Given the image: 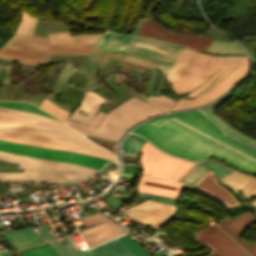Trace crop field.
Masks as SVG:
<instances>
[{"instance_id":"obj_1","label":"crop field","mask_w":256,"mask_h":256,"mask_svg":"<svg viewBox=\"0 0 256 256\" xmlns=\"http://www.w3.org/2000/svg\"><path fill=\"white\" fill-rule=\"evenodd\" d=\"M132 132L176 156L198 160L214 155L256 174V153L222 135L220 128L199 110L146 122Z\"/></svg>"},{"instance_id":"obj_2","label":"crop field","mask_w":256,"mask_h":256,"mask_svg":"<svg viewBox=\"0 0 256 256\" xmlns=\"http://www.w3.org/2000/svg\"><path fill=\"white\" fill-rule=\"evenodd\" d=\"M140 150L144 171H142L143 176L137 186L139 192L177 200L178 194L184 186L192 188L180 181L196 163L171 157L147 141ZM211 173L210 171L194 188L215 198L229 209L239 206L229 192L215 182Z\"/></svg>"},{"instance_id":"obj_3","label":"crop field","mask_w":256,"mask_h":256,"mask_svg":"<svg viewBox=\"0 0 256 256\" xmlns=\"http://www.w3.org/2000/svg\"><path fill=\"white\" fill-rule=\"evenodd\" d=\"M225 63L226 65L221 68ZM238 63L239 65L232 73H230L212 90H210L204 97H202L212 86H214L221 78L229 73ZM231 64L233 65L230 66ZM227 67L229 68L225 72H223ZM247 67L248 63L246 57H222L199 62L186 63L181 74L178 76L175 82L171 84L173 91L177 94H186L194 90L195 88L202 85L208 78H210L221 68L207 83L205 82L206 84L195 89L188 95L190 97H194L198 95L201 91H203L215 77H217L222 72L223 73L219 77H217L214 82L201 95L191 100H177V104L171 110L196 107L217 98L244 75Z\"/></svg>"},{"instance_id":"obj_4","label":"crop field","mask_w":256,"mask_h":256,"mask_svg":"<svg viewBox=\"0 0 256 256\" xmlns=\"http://www.w3.org/2000/svg\"><path fill=\"white\" fill-rule=\"evenodd\" d=\"M105 102V99L88 91L83 98L82 105L74 110L71 118L89 124L92 117L95 115L97 108ZM78 111H82L88 116H84ZM159 113L162 112L146 103L131 98L110 112L101 123L99 129L72 120H69L67 124L84 134L118 140L119 136L131 125ZM104 115L105 114L99 112L90 125L97 127Z\"/></svg>"},{"instance_id":"obj_5","label":"crop field","mask_w":256,"mask_h":256,"mask_svg":"<svg viewBox=\"0 0 256 256\" xmlns=\"http://www.w3.org/2000/svg\"><path fill=\"white\" fill-rule=\"evenodd\" d=\"M0 160L19 163L24 172L0 173L2 181L38 180L75 182L90 178L97 170L70 163L49 161L0 151Z\"/></svg>"},{"instance_id":"obj_6","label":"crop field","mask_w":256,"mask_h":256,"mask_svg":"<svg viewBox=\"0 0 256 256\" xmlns=\"http://www.w3.org/2000/svg\"><path fill=\"white\" fill-rule=\"evenodd\" d=\"M0 150L18 153L22 155L45 158L49 160L71 162L74 164L85 165L97 170H100L107 161L104 159H99V158L76 154V153L63 152V151L29 146V145L9 143L1 140H0Z\"/></svg>"},{"instance_id":"obj_7","label":"crop field","mask_w":256,"mask_h":256,"mask_svg":"<svg viewBox=\"0 0 256 256\" xmlns=\"http://www.w3.org/2000/svg\"><path fill=\"white\" fill-rule=\"evenodd\" d=\"M114 63H119L121 65L142 71L151 67H157L161 69L162 74L165 78L174 66L161 65L126 54L99 52L88 55L82 69L86 71L87 75L96 77L98 69L100 67Z\"/></svg>"},{"instance_id":"obj_8","label":"crop field","mask_w":256,"mask_h":256,"mask_svg":"<svg viewBox=\"0 0 256 256\" xmlns=\"http://www.w3.org/2000/svg\"><path fill=\"white\" fill-rule=\"evenodd\" d=\"M184 48L147 38L135 37L127 54L151 59L163 64L176 63Z\"/></svg>"},{"instance_id":"obj_9","label":"crop field","mask_w":256,"mask_h":256,"mask_svg":"<svg viewBox=\"0 0 256 256\" xmlns=\"http://www.w3.org/2000/svg\"><path fill=\"white\" fill-rule=\"evenodd\" d=\"M0 133L23 137L27 139L36 140V141L77 146V147H82V148H86V149H90L98 152L107 153L102 149L98 148L97 146L91 144L86 139L62 135V134H56L51 132H45L40 130H34V129L24 128L20 126L0 128Z\"/></svg>"},{"instance_id":"obj_10","label":"crop field","mask_w":256,"mask_h":256,"mask_svg":"<svg viewBox=\"0 0 256 256\" xmlns=\"http://www.w3.org/2000/svg\"><path fill=\"white\" fill-rule=\"evenodd\" d=\"M128 210L131 212H123L131 218L158 229L174 216L175 207L157 201L146 200Z\"/></svg>"},{"instance_id":"obj_11","label":"crop field","mask_w":256,"mask_h":256,"mask_svg":"<svg viewBox=\"0 0 256 256\" xmlns=\"http://www.w3.org/2000/svg\"><path fill=\"white\" fill-rule=\"evenodd\" d=\"M138 35L160 38L174 44H179L182 46L199 49L203 51L206 50L207 47L214 40V38L202 36L176 35L165 31L160 26H158L157 24L148 19H145Z\"/></svg>"},{"instance_id":"obj_12","label":"crop field","mask_w":256,"mask_h":256,"mask_svg":"<svg viewBox=\"0 0 256 256\" xmlns=\"http://www.w3.org/2000/svg\"><path fill=\"white\" fill-rule=\"evenodd\" d=\"M195 238L213 248L206 256H248L215 223L205 227Z\"/></svg>"},{"instance_id":"obj_13","label":"crop field","mask_w":256,"mask_h":256,"mask_svg":"<svg viewBox=\"0 0 256 256\" xmlns=\"http://www.w3.org/2000/svg\"><path fill=\"white\" fill-rule=\"evenodd\" d=\"M85 226L107 221L105 223L93 226L91 228L79 231L88 247L94 246L107 239L125 233L123 227L109 221L102 214L88 216L82 218Z\"/></svg>"},{"instance_id":"obj_14","label":"crop field","mask_w":256,"mask_h":256,"mask_svg":"<svg viewBox=\"0 0 256 256\" xmlns=\"http://www.w3.org/2000/svg\"><path fill=\"white\" fill-rule=\"evenodd\" d=\"M46 38L14 34L0 51L32 58L49 59L46 55Z\"/></svg>"},{"instance_id":"obj_15","label":"crop field","mask_w":256,"mask_h":256,"mask_svg":"<svg viewBox=\"0 0 256 256\" xmlns=\"http://www.w3.org/2000/svg\"><path fill=\"white\" fill-rule=\"evenodd\" d=\"M69 245L60 246L58 241L51 242L59 256H133V254L117 239L100 244L90 250H82L72 253L75 248L68 235L64 236Z\"/></svg>"},{"instance_id":"obj_16","label":"crop field","mask_w":256,"mask_h":256,"mask_svg":"<svg viewBox=\"0 0 256 256\" xmlns=\"http://www.w3.org/2000/svg\"><path fill=\"white\" fill-rule=\"evenodd\" d=\"M256 222V218L249 211L237 216L230 221L228 218H224L219 224L222 228L235 242H237L242 248H244L250 255L256 256V241L254 245H250L244 240L238 238L242 231Z\"/></svg>"},{"instance_id":"obj_17","label":"crop field","mask_w":256,"mask_h":256,"mask_svg":"<svg viewBox=\"0 0 256 256\" xmlns=\"http://www.w3.org/2000/svg\"><path fill=\"white\" fill-rule=\"evenodd\" d=\"M0 114H1L0 121L11 123V124H20V123H27V122L34 121V120H40L35 117L20 115V114L5 112V111H0ZM37 122L50 124V125H54V126L43 125V124H39V123H35V122H32L30 124H25L22 126H28V127L46 130V131L83 137L81 134L77 133L76 131H74L71 128H69L65 125H62V124L53 123V122H49V121H37ZM83 138H85V137H83Z\"/></svg>"},{"instance_id":"obj_18","label":"crop field","mask_w":256,"mask_h":256,"mask_svg":"<svg viewBox=\"0 0 256 256\" xmlns=\"http://www.w3.org/2000/svg\"><path fill=\"white\" fill-rule=\"evenodd\" d=\"M101 34H86L72 36L75 43L50 44V55L57 54H81L88 53L91 50Z\"/></svg>"},{"instance_id":"obj_19","label":"crop field","mask_w":256,"mask_h":256,"mask_svg":"<svg viewBox=\"0 0 256 256\" xmlns=\"http://www.w3.org/2000/svg\"><path fill=\"white\" fill-rule=\"evenodd\" d=\"M231 95H226L219 101L215 102L214 104L210 105L209 107L201 110L203 113H205L213 122H215L217 125H219L222 128V132L231 137L232 139L242 143L243 145L249 147L250 149L256 151V141L243 135L242 133L234 130L232 127L221 121L219 118H217L215 115H213L211 112L215 110L218 106H220L222 103L230 99Z\"/></svg>"},{"instance_id":"obj_20","label":"crop field","mask_w":256,"mask_h":256,"mask_svg":"<svg viewBox=\"0 0 256 256\" xmlns=\"http://www.w3.org/2000/svg\"><path fill=\"white\" fill-rule=\"evenodd\" d=\"M2 235L15 250L43 242L32 227L22 230L7 231L2 233Z\"/></svg>"},{"instance_id":"obj_21","label":"crop field","mask_w":256,"mask_h":256,"mask_svg":"<svg viewBox=\"0 0 256 256\" xmlns=\"http://www.w3.org/2000/svg\"><path fill=\"white\" fill-rule=\"evenodd\" d=\"M114 71V68H113V65H110V66H105L103 68H101L100 70V77H104V76H108L109 74H104V73H108V72H112ZM101 74H104V75H101ZM113 77H114V74H113ZM113 77L112 75L109 76L110 78V82H111V87H112V90L113 91H116L119 90L121 91L124 99H129L132 96V94L130 93V91L128 90V88L126 87L125 84H122L120 86H116V83H115V86H116V90H115V86H114V82H115V77H114V82H113ZM109 78L106 77L105 78V81H106V85L110 88V82H109ZM111 89V88H110ZM122 95L120 94V92H116V94L114 93L113 96L111 97V99L109 101H111L113 104H115L116 106L119 105L120 103H122L123 101H125L122 97ZM107 102L106 104H104L99 110L102 111L103 113H107L109 110H111L113 107H115L112 103L110 102Z\"/></svg>"},{"instance_id":"obj_22","label":"crop field","mask_w":256,"mask_h":256,"mask_svg":"<svg viewBox=\"0 0 256 256\" xmlns=\"http://www.w3.org/2000/svg\"><path fill=\"white\" fill-rule=\"evenodd\" d=\"M133 39V36H122L106 30L94 48L125 52Z\"/></svg>"},{"instance_id":"obj_23","label":"crop field","mask_w":256,"mask_h":256,"mask_svg":"<svg viewBox=\"0 0 256 256\" xmlns=\"http://www.w3.org/2000/svg\"><path fill=\"white\" fill-rule=\"evenodd\" d=\"M222 180L230 184L236 191V193L239 192L243 188V186L250 180V182L243 188L241 193L247 198L256 195V179L251 176L242 175L234 171L228 176L222 178ZM249 203L256 207V200L252 203Z\"/></svg>"},{"instance_id":"obj_24","label":"crop field","mask_w":256,"mask_h":256,"mask_svg":"<svg viewBox=\"0 0 256 256\" xmlns=\"http://www.w3.org/2000/svg\"><path fill=\"white\" fill-rule=\"evenodd\" d=\"M0 139L5 140V141H10V142H16V143H23V144H29V145H36V146H42V147H48V148H53V149H58V150H63V151H70V152H77L81 154H86V155H91V156H96V157H101V158H106L109 160H115L114 156L94 152V151H89V150H84L80 148H74V147H68V146H62V145H56V144H48V143H41V142H36L32 140H27L23 138H17V137H11L7 135L0 134ZM77 149V150H72Z\"/></svg>"},{"instance_id":"obj_25","label":"crop field","mask_w":256,"mask_h":256,"mask_svg":"<svg viewBox=\"0 0 256 256\" xmlns=\"http://www.w3.org/2000/svg\"><path fill=\"white\" fill-rule=\"evenodd\" d=\"M71 65L72 64L70 62H68V64L65 66V68L61 71V73L58 77V81H57L52 93L57 92L59 86L61 85V83L64 79V77L66 76L67 72L69 71ZM74 69L75 68H72L71 72L69 73L68 77L66 78V80L64 81V83L62 84V86L60 87V89L58 90L57 93H59L61 91V89L63 88V86L66 84L67 80L69 79V77H70L71 73L74 71ZM86 78H87V76L85 75L84 72L79 71V70L76 69L69 83L82 88ZM96 80L97 79L87 78L86 83H85L83 88L87 89V88L91 87L96 82Z\"/></svg>"},{"instance_id":"obj_26","label":"crop field","mask_w":256,"mask_h":256,"mask_svg":"<svg viewBox=\"0 0 256 256\" xmlns=\"http://www.w3.org/2000/svg\"><path fill=\"white\" fill-rule=\"evenodd\" d=\"M209 52L219 53V54H245L248 53L238 44L234 42H220L214 41L213 44L208 49Z\"/></svg>"},{"instance_id":"obj_27","label":"crop field","mask_w":256,"mask_h":256,"mask_svg":"<svg viewBox=\"0 0 256 256\" xmlns=\"http://www.w3.org/2000/svg\"><path fill=\"white\" fill-rule=\"evenodd\" d=\"M22 256H57L50 243L19 252Z\"/></svg>"},{"instance_id":"obj_28","label":"crop field","mask_w":256,"mask_h":256,"mask_svg":"<svg viewBox=\"0 0 256 256\" xmlns=\"http://www.w3.org/2000/svg\"><path fill=\"white\" fill-rule=\"evenodd\" d=\"M36 21L37 20L32 15L22 11L20 24L16 30V33H24V34L32 35L33 28Z\"/></svg>"},{"instance_id":"obj_29","label":"crop field","mask_w":256,"mask_h":256,"mask_svg":"<svg viewBox=\"0 0 256 256\" xmlns=\"http://www.w3.org/2000/svg\"><path fill=\"white\" fill-rule=\"evenodd\" d=\"M208 171L203 166L197 164L186 174L182 181L194 186Z\"/></svg>"},{"instance_id":"obj_30","label":"crop field","mask_w":256,"mask_h":256,"mask_svg":"<svg viewBox=\"0 0 256 256\" xmlns=\"http://www.w3.org/2000/svg\"><path fill=\"white\" fill-rule=\"evenodd\" d=\"M42 109L50 112L51 114H53L54 116H56L57 118L63 120L65 122V120L67 119L68 115H69V111L47 101V100H43L41 106Z\"/></svg>"},{"instance_id":"obj_31","label":"crop field","mask_w":256,"mask_h":256,"mask_svg":"<svg viewBox=\"0 0 256 256\" xmlns=\"http://www.w3.org/2000/svg\"><path fill=\"white\" fill-rule=\"evenodd\" d=\"M135 138V140L133 141L130 149L128 150L127 153L131 154V155H136L138 149L144 144V142L146 140H144L143 138H141L138 135H134V134H129L128 137L124 140L122 148L124 150V152L127 151L129 143Z\"/></svg>"},{"instance_id":"obj_32","label":"crop field","mask_w":256,"mask_h":256,"mask_svg":"<svg viewBox=\"0 0 256 256\" xmlns=\"http://www.w3.org/2000/svg\"><path fill=\"white\" fill-rule=\"evenodd\" d=\"M133 254L134 256H150L144 249L136 244L127 234L117 237Z\"/></svg>"},{"instance_id":"obj_33","label":"crop field","mask_w":256,"mask_h":256,"mask_svg":"<svg viewBox=\"0 0 256 256\" xmlns=\"http://www.w3.org/2000/svg\"><path fill=\"white\" fill-rule=\"evenodd\" d=\"M83 92H84L83 90H80L78 88L67 86L63 90L61 97L65 98L73 103H76L79 100V98L81 97V95L83 94Z\"/></svg>"},{"instance_id":"obj_34","label":"crop field","mask_w":256,"mask_h":256,"mask_svg":"<svg viewBox=\"0 0 256 256\" xmlns=\"http://www.w3.org/2000/svg\"><path fill=\"white\" fill-rule=\"evenodd\" d=\"M200 163H202L203 165L207 166L208 168H210L213 172H215L220 178L228 175L229 173H231L233 170L227 169L213 161L210 160H204L201 161Z\"/></svg>"},{"instance_id":"obj_35","label":"crop field","mask_w":256,"mask_h":256,"mask_svg":"<svg viewBox=\"0 0 256 256\" xmlns=\"http://www.w3.org/2000/svg\"><path fill=\"white\" fill-rule=\"evenodd\" d=\"M0 57L15 60V61H19V62H24V63H28V64H32V65H39V64H43V63L48 62V60L27 59V58H23V57H20V56H16V55L4 53V52H0Z\"/></svg>"},{"instance_id":"obj_36","label":"crop field","mask_w":256,"mask_h":256,"mask_svg":"<svg viewBox=\"0 0 256 256\" xmlns=\"http://www.w3.org/2000/svg\"><path fill=\"white\" fill-rule=\"evenodd\" d=\"M3 104L19 106V107H26V108H32V109H36V110H38L40 112L32 111V110H27V109H22V108H17V107L6 106V105H3ZM0 106L1 107L12 108V109L24 110V111H28V112H33V113H38V114H42V115L53 117V116H51V115H49V114L39 110L37 107H35V106L31 105V104H27V103H21V102H0Z\"/></svg>"},{"instance_id":"obj_37","label":"crop field","mask_w":256,"mask_h":256,"mask_svg":"<svg viewBox=\"0 0 256 256\" xmlns=\"http://www.w3.org/2000/svg\"><path fill=\"white\" fill-rule=\"evenodd\" d=\"M164 98H166L167 100L163 98L149 97L147 102L153 104L154 106L158 107L163 111H167L175 102L167 97Z\"/></svg>"},{"instance_id":"obj_38","label":"crop field","mask_w":256,"mask_h":256,"mask_svg":"<svg viewBox=\"0 0 256 256\" xmlns=\"http://www.w3.org/2000/svg\"><path fill=\"white\" fill-rule=\"evenodd\" d=\"M50 43L73 42L69 31L49 34Z\"/></svg>"},{"instance_id":"obj_39","label":"crop field","mask_w":256,"mask_h":256,"mask_svg":"<svg viewBox=\"0 0 256 256\" xmlns=\"http://www.w3.org/2000/svg\"><path fill=\"white\" fill-rule=\"evenodd\" d=\"M91 90L95 91L96 93H98L99 95L103 96L106 99H109V96H110V94L112 92V91H110L109 89H107L106 87H104L101 84H97Z\"/></svg>"},{"instance_id":"obj_40","label":"crop field","mask_w":256,"mask_h":256,"mask_svg":"<svg viewBox=\"0 0 256 256\" xmlns=\"http://www.w3.org/2000/svg\"><path fill=\"white\" fill-rule=\"evenodd\" d=\"M185 65V63L183 64H178L175 65L173 70L170 72V74L167 76V79L174 82V80L177 78V76L179 75V73L181 72L183 66Z\"/></svg>"},{"instance_id":"obj_41","label":"crop field","mask_w":256,"mask_h":256,"mask_svg":"<svg viewBox=\"0 0 256 256\" xmlns=\"http://www.w3.org/2000/svg\"><path fill=\"white\" fill-rule=\"evenodd\" d=\"M100 172L114 179L117 173V167L112 165H107Z\"/></svg>"},{"instance_id":"obj_42","label":"crop field","mask_w":256,"mask_h":256,"mask_svg":"<svg viewBox=\"0 0 256 256\" xmlns=\"http://www.w3.org/2000/svg\"><path fill=\"white\" fill-rule=\"evenodd\" d=\"M215 57L216 56H213V55L195 52L194 55L191 57V59L188 62L209 59V58H215Z\"/></svg>"},{"instance_id":"obj_43","label":"crop field","mask_w":256,"mask_h":256,"mask_svg":"<svg viewBox=\"0 0 256 256\" xmlns=\"http://www.w3.org/2000/svg\"><path fill=\"white\" fill-rule=\"evenodd\" d=\"M105 201L115 210H117L116 208L121 204V200L116 199L112 196H109L108 199H105Z\"/></svg>"},{"instance_id":"obj_44","label":"crop field","mask_w":256,"mask_h":256,"mask_svg":"<svg viewBox=\"0 0 256 256\" xmlns=\"http://www.w3.org/2000/svg\"><path fill=\"white\" fill-rule=\"evenodd\" d=\"M193 53H194V51H191L189 49H185V51L183 52V54L181 55V57L179 58L177 63L188 61L189 58L193 55Z\"/></svg>"},{"instance_id":"obj_45","label":"crop field","mask_w":256,"mask_h":256,"mask_svg":"<svg viewBox=\"0 0 256 256\" xmlns=\"http://www.w3.org/2000/svg\"><path fill=\"white\" fill-rule=\"evenodd\" d=\"M10 68L0 67V81H8Z\"/></svg>"},{"instance_id":"obj_46","label":"crop field","mask_w":256,"mask_h":256,"mask_svg":"<svg viewBox=\"0 0 256 256\" xmlns=\"http://www.w3.org/2000/svg\"><path fill=\"white\" fill-rule=\"evenodd\" d=\"M0 109L6 110V111H10V112H15V113H21V114H26V115H31V116H37V117H41V118H43V119H50V120H53V121H57V122L62 123L60 120L53 119V118H49V117H45V116H41V115H36V114H31V113H25V112H20V111L11 110V109H3V108H0Z\"/></svg>"},{"instance_id":"obj_47","label":"crop field","mask_w":256,"mask_h":256,"mask_svg":"<svg viewBox=\"0 0 256 256\" xmlns=\"http://www.w3.org/2000/svg\"><path fill=\"white\" fill-rule=\"evenodd\" d=\"M38 229L41 231V233L45 236V238L48 241L55 239L53 235L47 230L46 226H40L38 227Z\"/></svg>"},{"instance_id":"obj_48","label":"crop field","mask_w":256,"mask_h":256,"mask_svg":"<svg viewBox=\"0 0 256 256\" xmlns=\"http://www.w3.org/2000/svg\"><path fill=\"white\" fill-rule=\"evenodd\" d=\"M0 256H12V255L6 251H2L0 252Z\"/></svg>"},{"instance_id":"obj_49","label":"crop field","mask_w":256,"mask_h":256,"mask_svg":"<svg viewBox=\"0 0 256 256\" xmlns=\"http://www.w3.org/2000/svg\"><path fill=\"white\" fill-rule=\"evenodd\" d=\"M7 189L6 186L0 181V192Z\"/></svg>"},{"instance_id":"obj_50","label":"crop field","mask_w":256,"mask_h":256,"mask_svg":"<svg viewBox=\"0 0 256 256\" xmlns=\"http://www.w3.org/2000/svg\"><path fill=\"white\" fill-rule=\"evenodd\" d=\"M7 125H11V124H7V123H2V122H0V126H7Z\"/></svg>"},{"instance_id":"obj_51","label":"crop field","mask_w":256,"mask_h":256,"mask_svg":"<svg viewBox=\"0 0 256 256\" xmlns=\"http://www.w3.org/2000/svg\"><path fill=\"white\" fill-rule=\"evenodd\" d=\"M0 165L2 166H8V167H11L12 165H9V164H3V163H0Z\"/></svg>"},{"instance_id":"obj_52","label":"crop field","mask_w":256,"mask_h":256,"mask_svg":"<svg viewBox=\"0 0 256 256\" xmlns=\"http://www.w3.org/2000/svg\"><path fill=\"white\" fill-rule=\"evenodd\" d=\"M16 256H21L18 252L14 253Z\"/></svg>"}]
</instances>
